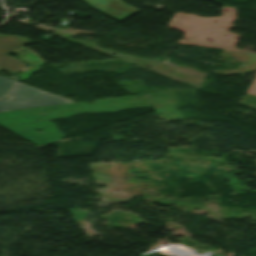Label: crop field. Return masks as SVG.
I'll use <instances>...</instances> for the list:
<instances>
[{
    "mask_svg": "<svg viewBox=\"0 0 256 256\" xmlns=\"http://www.w3.org/2000/svg\"><path fill=\"white\" fill-rule=\"evenodd\" d=\"M28 40L24 37L0 35V68L16 73L27 67L20 61L7 56V54Z\"/></svg>",
    "mask_w": 256,
    "mask_h": 256,
    "instance_id": "obj_2",
    "label": "crop field"
},
{
    "mask_svg": "<svg viewBox=\"0 0 256 256\" xmlns=\"http://www.w3.org/2000/svg\"><path fill=\"white\" fill-rule=\"evenodd\" d=\"M18 82L0 77V99L8 97Z\"/></svg>",
    "mask_w": 256,
    "mask_h": 256,
    "instance_id": "obj_3",
    "label": "crop field"
},
{
    "mask_svg": "<svg viewBox=\"0 0 256 256\" xmlns=\"http://www.w3.org/2000/svg\"><path fill=\"white\" fill-rule=\"evenodd\" d=\"M70 102H72V100L47 93L19 82L7 100H0V111Z\"/></svg>",
    "mask_w": 256,
    "mask_h": 256,
    "instance_id": "obj_1",
    "label": "crop field"
}]
</instances>
